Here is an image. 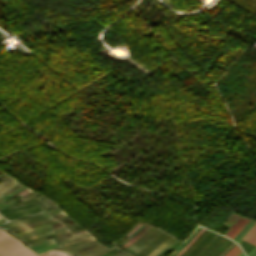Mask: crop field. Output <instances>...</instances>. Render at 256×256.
<instances>
[{"label":"crop field","mask_w":256,"mask_h":256,"mask_svg":"<svg viewBox=\"0 0 256 256\" xmlns=\"http://www.w3.org/2000/svg\"><path fill=\"white\" fill-rule=\"evenodd\" d=\"M43 217L44 216L41 213H39L37 215L30 216V217H27V218H24V219H18L16 221L8 222V223H6L2 226L8 228V227L16 226V225L26 223V222H29V221H32V220H35V219L43 218ZM54 220H57V219L53 218V219H50L48 221L50 222V221H54ZM55 222H58V221H55ZM44 223H47L46 218L36 220V221H32V222H29V223H26V224H23V225H19V226H16V227H12V228H9L8 230L12 231L13 233H16V232L21 231L23 229L31 228V227H34V226H37V225H40V224H44ZM51 223H54V222H51ZM48 224H50V223H48ZM48 224H44V225H48ZM44 225H40V226H37V227H41V226H44ZM50 226H51L52 229H55V228L63 227L64 224L59 222V223L51 224ZM37 227H34V228H37ZM34 228H31V229H34ZM31 229H27V230H31ZM27 230H23L21 232H24V231H27ZM21 232H18V233H21Z\"/></svg>","instance_id":"crop-field-2"},{"label":"crop field","mask_w":256,"mask_h":256,"mask_svg":"<svg viewBox=\"0 0 256 256\" xmlns=\"http://www.w3.org/2000/svg\"><path fill=\"white\" fill-rule=\"evenodd\" d=\"M243 252L241 251L240 253H238L236 256H239L240 254H242Z\"/></svg>","instance_id":"crop-field-28"},{"label":"crop field","mask_w":256,"mask_h":256,"mask_svg":"<svg viewBox=\"0 0 256 256\" xmlns=\"http://www.w3.org/2000/svg\"><path fill=\"white\" fill-rule=\"evenodd\" d=\"M168 234L162 232L159 236H157L152 242H150L145 248L141 249L139 252H137L135 255L137 256H145L150 250H152L155 246H157L159 243L163 242L167 238H169Z\"/></svg>","instance_id":"crop-field-7"},{"label":"crop field","mask_w":256,"mask_h":256,"mask_svg":"<svg viewBox=\"0 0 256 256\" xmlns=\"http://www.w3.org/2000/svg\"><path fill=\"white\" fill-rule=\"evenodd\" d=\"M1 218V217H0Z\"/></svg>","instance_id":"crop-field-30"},{"label":"crop field","mask_w":256,"mask_h":256,"mask_svg":"<svg viewBox=\"0 0 256 256\" xmlns=\"http://www.w3.org/2000/svg\"><path fill=\"white\" fill-rule=\"evenodd\" d=\"M204 231H203V233H204ZM209 233H210V231L206 230V232L203 235L201 234L202 235L201 237H199L182 255L181 254L180 255L187 256Z\"/></svg>","instance_id":"crop-field-11"},{"label":"crop field","mask_w":256,"mask_h":256,"mask_svg":"<svg viewBox=\"0 0 256 256\" xmlns=\"http://www.w3.org/2000/svg\"><path fill=\"white\" fill-rule=\"evenodd\" d=\"M119 251H120V249H119V248H116V249H114V250H112V251L106 253V254L103 255V256H113L114 254H116V253L119 252Z\"/></svg>","instance_id":"crop-field-23"},{"label":"crop field","mask_w":256,"mask_h":256,"mask_svg":"<svg viewBox=\"0 0 256 256\" xmlns=\"http://www.w3.org/2000/svg\"><path fill=\"white\" fill-rule=\"evenodd\" d=\"M240 251V248L235 245L225 256H235Z\"/></svg>","instance_id":"crop-field-16"},{"label":"crop field","mask_w":256,"mask_h":256,"mask_svg":"<svg viewBox=\"0 0 256 256\" xmlns=\"http://www.w3.org/2000/svg\"><path fill=\"white\" fill-rule=\"evenodd\" d=\"M181 242H176L174 245H172V246H170V247H168L166 250H164V251H162V252H160L157 256H162L166 251H168V250H171V249H173V248H175L177 245H179Z\"/></svg>","instance_id":"crop-field-21"},{"label":"crop field","mask_w":256,"mask_h":256,"mask_svg":"<svg viewBox=\"0 0 256 256\" xmlns=\"http://www.w3.org/2000/svg\"><path fill=\"white\" fill-rule=\"evenodd\" d=\"M129 254L127 253V254H125L124 256H128Z\"/></svg>","instance_id":"crop-field-29"},{"label":"crop field","mask_w":256,"mask_h":256,"mask_svg":"<svg viewBox=\"0 0 256 256\" xmlns=\"http://www.w3.org/2000/svg\"><path fill=\"white\" fill-rule=\"evenodd\" d=\"M13 181H14V180L9 181V182H8L7 184H5L4 186L8 185L9 183H11V182H13ZM16 184H18V183L15 181V182L9 184V185L6 186V187L2 186V187L0 188V190H1L3 187H4V188L0 191V195H1L5 190L11 188L12 186H14V185H16ZM19 187H21V186L18 184V185H16V186L12 187L11 189L5 191L3 195L6 196V195H8L9 193H11L13 190H15V189H17V188H19Z\"/></svg>","instance_id":"crop-field-12"},{"label":"crop field","mask_w":256,"mask_h":256,"mask_svg":"<svg viewBox=\"0 0 256 256\" xmlns=\"http://www.w3.org/2000/svg\"><path fill=\"white\" fill-rule=\"evenodd\" d=\"M66 231H69V230L66 229V230H62V231H59V232H55V233H52V234H49V235H45V236H42V237H39V238H36V239H33V240L26 241L25 243H26V244H29V243L35 242V241H37V240H40V239H44V238H48V237H51V236H55V235L64 233V232H66Z\"/></svg>","instance_id":"crop-field-14"},{"label":"crop field","mask_w":256,"mask_h":256,"mask_svg":"<svg viewBox=\"0 0 256 256\" xmlns=\"http://www.w3.org/2000/svg\"><path fill=\"white\" fill-rule=\"evenodd\" d=\"M216 236L217 234L211 232L188 256H196ZM219 237L220 235L212 240L197 256H200ZM221 238L222 236L219 239ZM219 239H217L201 256H203ZM225 239L226 238L223 237L221 240H219L204 256H209L215 249H217L222 244ZM231 242L232 241L226 239L224 243L210 256H216L224 247H226Z\"/></svg>","instance_id":"crop-field-3"},{"label":"crop field","mask_w":256,"mask_h":256,"mask_svg":"<svg viewBox=\"0 0 256 256\" xmlns=\"http://www.w3.org/2000/svg\"><path fill=\"white\" fill-rule=\"evenodd\" d=\"M201 229V227H197L196 230L192 233V235L181 245L179 246L172 254L175 256L192 238L193 236ZM171 256V255H170Z\"/></svg>","instance_id":"crop-field-13"},{"label":"crop field","mask_w":256,"mask_h":256,"mask_svg":"<svg viewBox=\"0 0 256 256\" xmlns=\"http://www.w3.org/2000/svg\"><path fill=\"white\" fill-rule=\"evenodd\" d=\"M83 232H85V231H83ZM79 233H82V232H79ZM79 233H77V234H79ZM86 233H88V232H86ZM86 233L79 234V235L74 234V235H76V236H74L71 232H67V233H64V234H61V235L55 237V240L58 241V240H61V239H64V238H68V237H71V236H74V237H71V238H75V237L84 235V234H86ZM88 235H90V234H86V235H84V236H81V237L76 238V239H73V240H69V239H71V238H68V239H65V240H69V241L61 240V241H65V242L58 241L57 243L61 242V244H64V243L76 241V240L81 239V238H83V237H85V236H88ZM92 240H94V238H93L92 236H90V237H87V238H85V239H82V240H80V241H78V242L70 243V244H68V245H64V246H61V247H59V248H61V249H63L64 251H66V250H68V249L74 248V247H76V246H79V245H81V244H84V243L89 242V241H92Z\"/></svg>","instance_id":"crop-field-4"},{"label":"crop field","mask_w":256,"mask_h":256,"mask_svg":"<svg viewBox=\"0 0 256 256\" xmlns=\"http://www.w3.org/2000/svg\"><path fill=\"white\" fill-rule=\"evenodd\" d=\"M157 229L151 228L148 232H146L139 240H137L135 243H133L131 246L127 247L125 250L132 251L134 248H136L138 245H140L142 242H144L148 237H150L154 232H156ZM161 231H157L154 233L150 238H148L144 243H142L140 246H138L136 249H134L132 254L136 253L141 248L145 247L150 241H152L157 235H159Z\"/></svg>","instance_id":"crop-field-5"},{"label":"crop field","mask_w":256,"mask_h":256,"mask_svg":"<svg viewBox=\"0 0 256 256\" xmlns=\"http://www.w3.org/2000/svg\"><path fill=\"white\" fill-rule=\"evenodd\" d=\"M116 246L110 248V249H107L106 247L102 246L101 244L97 245V246H94L92 248H89L85 251H82L80 253H77V256H99L113 248H115Z\"/></svg>","instance_id":"crop-field-8"},{"label":"crop field","mask_w":256,"mask_h":256,"mask_svg":"<svg viewBox=\"0 0 256 256\" xmlns=\"http://www.w3.org/2000/svg\"><path fill=\"white\" fill-rule=\"evenodd\" d=\"M232 244H233V242H232L231 244H229L226 248H224V249L220 252V254H222V253H223L229 246H231ZM220 254H219V255H220ZM219 255H218V256H219Z\"/></svg>","instance_id":"crop-field-26"},{"label":"crop field","mask_w":256,"mask_h":256,"mask_svg":"<svg viewBox=\"0 0 256 256\" xmlns=\"http://www.w3.org/2000/svg\"><path fill=\"white\" fill-rule=\"evenodd\" d=\"M48 233H52V230L47 231V232H43V233H40V234H36V235L30 236V237L23 238V240L25 241V240L35 238V237H38V236H42V235H45V234H48Z\"/></svg>","instance_id":"crop-field-20"},{"label":"crop field","mask_w":256,"mask_h":256,"mask_svg":"<svg viewBox=\"0 0 256 256\" xmlns=\"http://www.w3.org/2000/svg\"><path fill=\"white\" fill-rule=\"evenodd\" d=\"M249 242L256 245V233L252 236Z\"/></svg>","instance_id":"crop-field-24"},{"label":"crop field","mask_w":256,"mask_h":256,"mask_svg":"<svg viewBox=\"0 0 256 256\" xmlns=\"http://www.w3.org/2000/svg\"><path fill=\"white\" fill-rule=\"evenodd\" d=\"M174 238V237H173ZM172 237L168 240L164 241L160 246L154 249L153 252L149 253L147 256H155L158 252L163 250L164 248L168 247L170 244L176 242L177 240L173 239Z\"/></svg>","instance_id":"crop-field-10"},{"label":"crop field","mask_w":256,"mask_h":256,"mask_svg":"<svg viewBox=\"0 0 256 256\" xmlns=\"http://www.w3.org/2000/svg\"><path fill=\"white\" fill-rule=\"evenodd\" d=\"M256 232V224L253 226V228L243 237L245 240H249V238Z\"/></svg>","instance_id":"crop-field-18"},{"label":"crop field","mask_w":256,"mask_h":256,"mask_svg":"<svg viewBox=\"0 0 256 256\" xmlns=\"http://www.w3.org/2000/svg\"><path fill=\"white\" fill-rule=\"evenodd\" d=\"M163 2H165L168 6L174 8V6L172 5V3L169 0H162Z\"/></svg>","instance_id":"crop-field-25"},{"label":"crop field","mask_w":256,"mask_h":256,"mask_svg":"<svg viewBox=\"0 0 256 256\" xmlns=\"http://www.w3.org/2000/svg\"><path fill=\"white\" fill-rule=\"evenodd\" d=\"M50 252V251H49ZM48 253V252H47ZM47 253H44V254H42V255H40V256H45Z\"/></svg>","instance_id":"crop-field-27"},{"label":"crop field","mask_w":256,"mask_h":256,"mask_svg":"<svg viewBox=\"0 0 256 256\" xmlns=\"http://www.w3.org/2000/svg\"><path fill=\"white\" fill-rule=\"evenodd\" d=\"M31 204H34V203H31ZM26 205H30V204H26ZM34 205H37V204H34ZM34 205H30V206H34ZM22 206H25V205H22ZM30 206H25V207H21V208H16V209H12V210H7V211H3L1 213H5V212H9V211H14V210H18V209H22V208H26V207H30ZM40 206V205H39ZM38 205L35 206V207H31V208H26V209H22V210H18V211H14V212H10V213H6V214H3L5 215L6 217H10V216H14V215H19V214H23V213H27V212H30V211H33V210H37V209H40L41 207H39ZM44 209H40V210H37V211H34V212H30V213H27V214H23V215H19V216H14V217H10L9 219H14V218H20V217H23V216H26V215H29V214H33V213H36V212H39V211H42Z\"/></svg>","instance_id":"crop-field-6"},{"label":"crop field","mask_w":256,"mask_h":256,"mask_svg":"<svg viewBox=\"0 0 256 256\" xmlns=\"http://www.w3.org/2000/svg\"><path fill=\"white\" fill-rule=\"evenodd\" d=\"M46 256H68V255H66L62 252H59V251H51Z\"/></svg>","instance_id":"crop-field-19"},{"label":"crop field","mask_w":256,"mask_h":256,"mask_svg":"<svg viewBox=\"0 0 256 256\" xmlns=\"http://www.w3.org/2000/svg\"><path fill=\"white\" fill-rule=\"evenodd\" d=\"M240 245H241V247L243 248V250L246 252V254H247L250 250H252V249L254 248V246H252V245H250V244H248V243H246V242H244V241H241V242H240Z\"/></svg>","instance_id":"crop-field-15"},{"label":"crop field","mask_w":256,"mask_h":256,"mask_svg":"<svg viewBox=\"0 0 256 256\" xmlns=\"http://www.w3.org/2000/svg\"><path fill=\"white\" fill-rule=\"evenodd\" d=\"M204 230V228H202L195 236L194 238L176 255L178 256L181 252H183L188 246H190L194 241L195 239L202 233V231Z\"/></svg>","instance_id":"crop-field-17"},{"label":"crop field","mask_w":256,"mask_h":256,"mask_svg":"<svg viewBox=\"0 0 256 256\" xmlns=\"http://www.w3.org/2000/svg\"><path fill=\"white\" fill-rule=\"evenodd\" d=\"M41 198H43V196H39V197H37V198L30 199V200L25 201V202H22V203H18V204L10 205V206H7V207H5V208L12 207V206H16V205H20V204L27 203V202H31V201L38 200V199H41Z\"/></svg>","instance_id":"crop-field-22"},{"label":"crop field","mask_w":256,"mask_h":256,"mask_svg":"<svg viewBox=\"0 0 256 256\" xmlns=\"http://www.w3.org/2000/svg\"><path fill=\"white\" fill-rule=\"evenodd\" d=\"M249 220L246 218L241 217L234 226L225 234L230 238H234V236L239 232V230L248 222Z\"/></svg>","instance_id":"crop-field-9"},{"label":"crop field","mask_w":256,"mask_h":256,"mask_svg":"<svg viewBox=\"0 0 256 256\" xmlns=\"http://www.w3.org/2000/svg\"><path fill=\"white\" fill-rule=\"evenodd\" d=\"M0 256H36V254L0 229Z\"/></svg>","instance_id":"crop-field-1"}]
</instances>
